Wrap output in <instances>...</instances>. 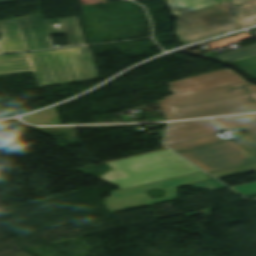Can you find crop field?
Masks as SVG:
<instances>
[{"label": "crop field", "instance_id": "1", "mask_svg": "<svg viewBox=\"0 0 256 256\" xmlns=\"http://www.w3.org/2000/svg\"><path fill=\"white\" fill-rule=\"evenodd\" d=\"M29 72L40 86L99 78L87 46L0 56V75Z\"/></svg>", "mask_w": 256, "mask_h": 256}, {"label": "crop field", "instance_id": "2", "mask_svg": "<svg viewBox=\"0 0 256 256\" xmlns=\"http://www.w3.org/2000/svg\"><path fill=\"white\" fill-rule=\"evenodd\" d=\"M169 120L256 111V86L245 81L155 103Z\"/></svg>", "mask_w": 256, "mask_h": 256}, {"label": "crop field", "instance_id": "3", "mask_svg": "<svg viewBox=\"0 0 256 256\" xmlns=\"http://www.w3.org/2000/svg\"><path fill=\"white\" fill-rule=\"evenodd\" d=\"M112 164L128 177L111 181L120 189L202 171L170 149Z\"/></svg>", "mask_w": 256, "mask_h": 256}, {"label": "crop field", "instance_id": "4", "mask_svg": "<svg viewBox=\"0 0 256 256\" xmlns=\"http://www.w3.org/2000/svg\"><path fill=\"white\" fill-rule=\"evenodd\" d=\"M177 17V35L185 44L241 28L216 5Z\"/></svg>", "mask_w": 256, "mask_h": 256}, {"label": "crop field", "instance_id": "5", "mask_svg": "<svg viewBox=\"0 0 256 256\" xmlns=\"http://www.w3.org/2000/svg\"><path fill=\"white\" fill-rule=\"evenodd\" d=\"M205 174L206 173L204 172H200L196 174L115 191L111 193L112 197L105 198L104 204L111 211V213H114L158 202L173 200L175 199L174 187L211 179V177ZM153 188L165 190L164 197L155 199L149 197L145 191Z\"/></svg>", "mask_w": 256, "mask_h": 256}, {"label": "crop field", "instance_id": "6", "mask_svg": "<svg viewBox=\"0 0 256 256\" xmlns=\"http://www.w3.org/2000/svg\"><path fill=\"white\" fill-rule=\"evenodd\" d=\"M30 51L55 48L50 35L67 34L70 46L86 44L77 26L75 17L53 21H44L41 14L18 18Z\"/></svg>", "mask_w": 256, "mask_h": 256}, {"label": "crop field", "instance_id": "7", "mask_svg": "<svg viewBox=\"0 0 256 256\" xmlns=\"http://www.w3.org/2000/svg\"><path fill=\"white\" fill-rule=\"evenodd\" d=\"M211 120L170 123L165 143L179 152L224 141L216 134L226 129Z\"/></svg>", "mask_w": 256, "mask_h": 256}, {"label": "crop field", "instance_id": "8", "mask_svg": "<svg viewBox=\"0 0 256 256\" xmlns=\"http://www.w3.org/2000/svg\"><path fill=\"white\" fill-rule=\"evenodd\" d=\"M180 154L208 172L256 161L255 156L232 140Z\"/></svg>", "mask_w": 256, "mask_h": 256}, {"label": "crop field", "instance_id": "9", "mask_svg": "<svg viewBox=\"0 0 256 256\" xmlns=\"http://www.w3.org/2000/svg\"><path fill=\"white\" fill-rule=\"evenodd\" d=\"M243 78H241L239 75H237L235 72L231 71L230 69L174 82L168 84L172 93L174 95L165 97L166 99L200 91L205 90L221 85H226L238 81H242Z\"/></svg>", "mask_w": 256, "mask_h": 256}, {"label": "crop field", "instance_id": "10", "mask_svg": "<svg viewBox=\"0 0 256 256\" xmlns=\"http://www.w3.org/2000/svg\"><path fill=\"white\" fill-rule=\"evenodd\" d=\"M0 27V53L29 51L17 18L0 21Z\"/></svg>", "mask_w": 256, "mask_h": 256}, {"label": "crop field", "instance_id": "11", "mask_svg": "<svg viewBox=\"0 0 256 256\" xmlns=\"http://www.w3.org/2000/svg\"><path fill=\"white\" fill-rule=\"evenodd\" d=\"M225 127L231 129L238 127L249 135L241 136L238 143L256 155V114L241 115L214 119Z\"/></svg>", "mask_w": 256, "mask_h": 256}, {"label": "crop field", "instance_id": "12", "mask_svg": "<svg viewBox=\"0 0 256 256\" xmlns=\"http://www.w3.org/2000/svg\"><path fill=\"white\" fill-rule=\"evenodd\" d=\"M219 5L244 27L256 24V0H229Z\"/></svg>", "mask_w": 256, "mask_h": 256}, {"label": "crop field", "instance_id": "13", "mask_svg": "<svg viewBox=\"0 0 256 256\" xmlns=\"http://www.w3.org/2000/svg\"><path fill=\"white\" fill-rule=\"evenodd\" d=\"M173 15H178L194 9L214 5L210 0H167Z\"/></svg>", "mask_w": 256, "mask_h": 256}, {"label": "crop field", "instance_id": "14", "mask_svg": "<svg viewBox=\"0 0 256 256\" xmlns=\"http://www.w3.org/2000/svg\"><path fill=\"white\" fill-rule=\"evenodd\" d=\"M25 121L31 124L39 125H54L60 124L56 109L47 110L37 115L24 118Z\"/></svg>", "mask_w": 256, "mask_h": 256}, {"label": "crop field", "instance_id": "15", "mask_svg": "<svg viewBox=\"0 0 256 256\" xmlns=\"http://www.w3.org/2000/svg\"><path fill=\"white\" fill-rule=\"evenodd\" d=\"M252 55H256V44L250 45L244 48H240L231 52H227L221 55H217L214 57H217L225 62H228V61H232V60H236V59H240V58H244Z\"/></svg>", "mask_w": 256, "mask_h": 256}, {"label": "crop field", "instance_id": "16", "mask_svg": "<svg viewBox=\"0 0 256 256\" xmlns=\"http://www.w3.org/2000/svg\"><path fill=\"white\" fill-rule=\"evenodd\" d=\"M229 64L238 67L249 77L256 79V56L229 62Z\"/></svg>", "mask_w": 256, "mask_h": 256}, {"label": "crop field", "instance_id": "17", "mask_svg": "<svg viewBox=\"0 0 256 256\" xmlns=\"http://www.w3.org/2000/svg\"><path fill=\"white\" fill-rule=\"evenodd\" d=\"M188 187L206 189V190H211V191L227 188L225 185H223L222 183L218 182L215 179L205 181V182H202V183H198V184H195V185H191V186H188Z\"/></svg>", "mask_w": 256, "mask_h": 256}, {"label": "crop field", "instance_id": "18", "mask_svg": "<svg viewBox=\"0 0 256 256\" xmlns=\"http://www.w3.org/2000/svg\"><path fill=\"white\" fill-rule=\"evenodd\" d=\"M232 188L242 195L254 194L256 193V182L239 185Z\"/></svg>", "mask_w": 256, "mask_h": 256}, {"label": "crop field", "instance_id": "19", "mask_svg": "<svg viewBox=\"0 0 256 256\" xmlns=\"http://www.w3.org/2000/svg\"><path fill=\"white\" fill-rule=\"evenodd\" d=\"M109 165L113 168V170L110 171L109 173H107L106 175L102 176L100 179L111 181L113 179L126 177L116 167H114L111 163H109Z\"/></svg>", "mask_w": 256, "mask_h": 256}, {"label": "crop field", "instance_id": "20", "mask_svg": "<svg viewBox=\"0 0 256 256\" xmlns=\"http://www.w3.org/2000/svg\"><path fill=\"white\" fill-rule=\"evenodd\" d=\"M9 1H15V0H0V3L9 2Z\"/></svg>", "mask_w": 256, "mask_h": 256}, {"label": "crop field", "instance_id": "21", "mask_svg": "<svg viewBox=\"0 0 256 256\" xmlns=\"http://www.w3.org/2000/svg\"><path fill=\"white\" fill-rule=\"evenodd\" d=\"M217 3H219V2H222V1H226V0H215Z\"/></svg>", "mask_w": 256, "mask_h": 256}]
</instances>
